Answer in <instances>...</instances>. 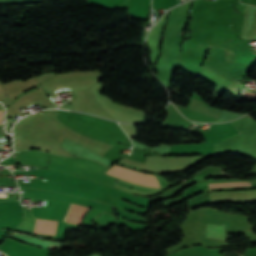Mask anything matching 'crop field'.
<instances>
[{"instance_id":"6","label":"crop field","mask_w":256,"mask_h":256,"mask_svg":"<svg viewBox=\"0 0 256 256\" xmlns=\"http://www.w3.org/2000/svg\"><path fill=\"white\" fill-rule=\"evenodd\" d=\"M243 186H252V184H251V183H231V184H215V185H208L209 188L243 187Z\"/></svg>"},{"instance_id":"2","label":"crop field","mask_w":256,"mask_h":256,"mask_svg":"<svg viewBox=\"0 0 256 256\" xmlns=\"http://www.w3.org/2000/svg\"><path fill=\"white\" fill-rule=\"evenodd\" d=\"M255 136H256V122L247 118L239 134L235 151L250 154Z\"/></svg>"},{"instance_id":"7","label":"crop field","mask_w":256,"mask_h":256,"mask_svg":"<svg viewBox=\"0 0 256 256\" xmlns=\"http://www.w3.org/2000/svg\"><path fill=\"white\" fill-rule=\"evenodd\" d=\"M2 116H3V110L0 111V123H1Z\"/></svg>"},{"instance_id":"1","label":"crop field","mask_w":256,"mask_h":256,"mask_svg":"<svg viewBox=\"0 0 256 256\" xmlns=\"http://www.w3.org/2000/svg\"><path fill=\"white\" fill-rule=\"evenodd\" d=\"M107 175L128 182L133 185L159 189V183L155 175H147L138 173L129 169H125L114 165L105 171Z\"/></svg>"},{"instance_id":"4","label":"crop field","mask_w":256,"mask_h":256,"mask_svg":"<svg viewBox=\"0 0 256 256\" xmlns=\"http://www.w3.org/2000/svg\"><path fill=\"white\" fill-rule=\"evenodd\" d=\"M225 226L207 224L202 236L219 239Z\"/></svg>"},{"instance_id":"5","label":"crop field","mask_w":256,"mask_h":256,"mask_svg":"<svg viewBox=\"0 0 256 256\" xmlns=\"http://www.w3.org/2000/svg\"><path fill=\"white\" fill-rule=\"evenodd\" d=\"M191 109H195V110H198V111H201V112H204V113H207V114H210L216 118H218L219 116V111H215V110H212L208 107H206L204 104L202 103H198V102H192V105L190 107Z\"/></svg>"},{"instance_id":"3","label":"crop field","mask_w":256,"mask_h":256,"mask_svg":"<svg viewBox=\"0 0 256 256\" xmlns=\"http://www.w3.org/2000/svg\"><path fill=\"white\" fill-rule=\"evenodd\" d=\"M73 206H74V204L71 205L70 210H69V213H68L67 218H66L65 221H68ZM75 206H76V205H75ZM75 206H74V208H75ZM74 208H73V211H74ZM88 209H89L88 207H83V206L77 205L76 208H75V211H74L73 216H72V214H71L72 219H71V216H70L71 221H70V219H69V221L72 222V223L81 224V223H82L83 216H84L85 212H86ZM73 211H72V213H73ZM69 221H68V222H69Z\"/></svg>"}]
</instances>
